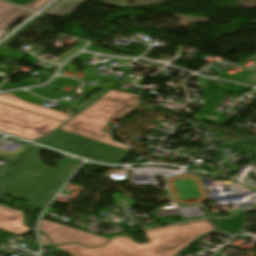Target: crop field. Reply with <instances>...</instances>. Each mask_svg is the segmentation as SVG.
<instances>
[{"label": "crop field", "mask_w": 256, "mask_h": 256, "mask_svg": "<svg viewBox=\"0 0 256 256\" xmlns=\"http://www.w3.org/2000/svg\"><path fill=\"white\" fill-rule=\"evenodd\" d=\"M0 227L18 234L30 230L21 225L20 211L5 208L2 206H0Z\"/></svg>", "instance_id": "d8731c3e"}, {"label": "crop field", "mask_w": 256, "mask_h": 256, "mask_svg": "<svg viewBox=\"0 0 256 256\" xmlns=\"http://www.w3.org/2000/svg\"><path fill=\"white\" fill-rule=\"evenodd\" d=\"M31 147L5 193L30 201L28 204L44 209L67 177L80 162L64 157L55 169L42 165L38 153Z\"/></svg>", "instance_id": "ac0d7876"}, {"label": "crop field", "mask_w": 256, "mask_h": 256, "mask_svg": "<svg viewBox=\"0 0 256 256\" xmlns=\"http://www.w3.org/2000/svg\"><path fill=\"white\" fill-rule=\"evenodd\" d=\"M214 221L218 230L235 231V232H239L242 226L241 222H243L242 220L239 219V216L237 215L236 216L232 215L226 219H216Z\"/></svg>", "instance_id": "28ad6ade"}, {"label": "crop field", "mask_w": 256, "mask_h": 256, "mask_svg": "<svg viewBox=\"0 0 256 256\" xmlns=\"http://www.w3.org/2000/svg\"><path fill=\"white\" fill-rule=\"evenodd\" d=\"M25 79H26V78H25ZM25 79H23V80H22L21 82H19L17 85L6 82V83L0 88V90L12 89V88L20 87V86L33 85L32 83L40 84V83H36V82H33V81L27 82L28 80H25ZM35 84H34V85H35Z\"/></svg>", "instance_id": "cbeb9de0"}, {"label": "crop field", "mask_w": 256, "mask_h": 256, "mask_svg": "<svg viewBox=\"0 0 256 256\" xmlns=\"http://www.w3.org/2000/svg\"><path fill=\"white\" fill-rule=\"evenodd\" d=\"M84 1L85 0H60L50 9H48L44 14L64 17Z\"/></svg>", "instance_id": "3316defc"}, {"label": "crop field", "mask_w": 256, "mask_h": 256, "mask_svg": "<svg viewBox=\"0 0 256 256\" xmlns=\"http://www.w3.org/2000/svg\"><path fill=\"white\" fill-rule=\"evenodd\" d=\"M31 14L28 11H25L23 9H20L18 11H16L15 13H13L12 15H10L7 19H5L4 21L0 22V29H8L12 24H14L18 19L27 16Z\"/></svg>", "instance_id": "d1516ede"}, {"label": "crop field", "mask_w": 256, "mask_h": 256, "mask_svg": "<svg viewBox=\"0 0 256 256\" xmlns=\"http://www.w3.org/2000/svg\"><path fill=\"white\" fill-rule=\"evenodd\" d=\"M19 7L6 3L0 0V20L9 15L12 11L18 9Z\"/></svg>", "instance_id": "22f410ed"}, {"label": "crop field", "mask_w": 256, "mask_h": 256, "mask_svg": "<svg viewBox=\"0 0 256 256\" xmlns=\"http://www.w3.org/2000/svg\"><path fill=\"white\" fill-rule=\"evenodd\" d=\"M39 230L43 231L48 236L53 245L61 243L79 242L88 247H94L108 241L107 238L72 229L67 226L44 219H42L40 222ZM40 235L42 239V244L49 245L45 236L42 233H40Z\"/></svg>", "instance_id": "dd49c442"}, {"label": "crop field", "mask_w": 256, "mask_h": 256, "mask_svg": "<svg viewBox=\"0 0 256 256\" xmlns=\"http://www.w3.org/2000/svg\"><path fill=\"white\" fill-rule=\"evenodd\" d=\"M208 221L143 230L149 243L137 244L125 237H114L111 243L94 249L77 244L56 246L73 256H174L202 233L213 231Z\"/></svg>", "instance_id": "8a807250"}, {"label": "crop field", "mask_w": 256, "mask_h": 256, "mask_svg": "<svg viewBox=\"0 0 256 256\" xmlns=\"http://www.w3.org/2000/svg\"><path fill=\"white\" fill-rule=\"evenodd\" d=\"M207 83H209L211 85L209 86V85H207ZM203 86H204V88H202V91L205 96L206 107L204 109H202L200 112L207 113L224 97V96L222 97V95L226 94V92H225L222 84H220V83H214V82L207 81ZM214 87H217L218 90H214Z\"/></svg>", "instance_id": "5a996713"}, {"label": "crop field", "mask_w": 256, "mask_h": 256, "mask_svg": "<svg viewBox=\"0 0 256 256\" xmlns=\"http://www.w3.org/2000/svg\"><path fill=\"white\" fill-rule=\"evenodd\" d=\"M248 60L256 61V55L251 57V58H249Z\"/></svg>", "instance_id": "4a817a6b"}, {"label": "crop field", "mask_w": 256, "mask_h": 256, "mask_svg": "<svg viewBox=\"0 0 256 256\" xmlns=\"http://www.w3.org/2000/svg\"><path fill=\"white\" fill-rule=\"evenodd\" d=\"M0 102L20 108V109L27 110L30 112H34V113H37V114H40L43 116H47V117H50V118H53L56 120H60L63 122L67 121L68 119H70L72 117V116L51 110V109H47L44 107L26 103L9 93L0 95Z\"/></svg>", "instance_id": "e52e79f7"}, {"label": "crop field", "mask_w": 256, "mask_h": 256, "mask_svg": "<svg viewBox=\"0 0 256 256\" xmlns=\"http://www.w3.org/2000/svg\"><path fill=\"white\" fill-rule=\"evenodd\" d=\"M63 131V130H62ZM62 131H55L52 134L37 141L51 147L65 150L71 153L78 154L91 160L103 163H118L124 160L129 154V151L82 138ZM78 138L91 141L84 148L71 144Z\"/></svg>", "instance_id": "f4fd0767"}, {"label": "crop field", "mask_w": 256, "mask_h": 256, "mask_svg": "<svg viewBox=\"0 0 256 256\" xmlns=\"http://www.w3.org/2000/svg\"><path fill=\"white\" fill-rule=\"evenodd\" d=\"M63 122L0 103V131L36 140L55 130Z\"/></svg>", "instance_id": "412701ff"}, {"label": "crop field", "mask_w": 256, "mask_h": 256, "mask_svg": "<svg viewBox=\"0 0 256 256\" xmlns=\"http://www.w3.org/2000/svg\"><path fill=\"white\" fill-rule=\"evenodd\" d=\"M7 31H0V36L3 35Z\"/></svg>", "instance_id": "bc2a9ffb"}, {"label": "crop field", "mask_w": 256, "mask_h": 256, "mask_svg": "<svg viewBox=\"0 0 256 256\" xmlns=\"http://www.w3.org/2000/svg\"><path fill=\"white\" fill-rule=\"evenodd\" d=\"M48 0H36L32 4H29L25 6L24 8H27L29 10L35 11L39 9L42 5H44Z\"/></svg>", "instance_id": "5142ce71"}, {"label": "crop field", "mask_w": 256, "mask_h": 256, "mask_svg": "<svg viewBox=\"0 0 256 256\" xmlns=\"http://www.w3.org/2000/svg\"><path fill=\"white\" fill-rule=\"evenodd\" d=\"M245 83H251V84H256V73H254L252 76H250Z\"/></svg>", "instance_id": "733c2abd"}, {"label": "crop field", "mask_w": 256, "mask_h": 256, "mask_svg": "<svg viewBox=\"0 0 256 256\" xmlns=\"http://www.w3.org/2000/svg\"><path fill=\"white\" fill-rule=\"evenodd\" d=\"M7 1L12 2V3H14L16 5H19V6H23V5L29 3L33 0H7Z\"/></svg>", "instance_id": "d9b57169"}, {"label": "crop field", "mask_w": 256, "mask_h": 256, "mask_svg": "<svg viewBox=\"0 0 256 256\" xmlns=\"http://www.w3.org/2000/svg\"><path fill=\"white\" fill-rule=\"evenodd\" d=\"M139 98V95L111 90L59 130L130 151L131 148L111 141L109 133L100 130L112 118L119 120L139 107Z\"/></svg>", "instance_id": "34b2d1b8"}]
</instances>
